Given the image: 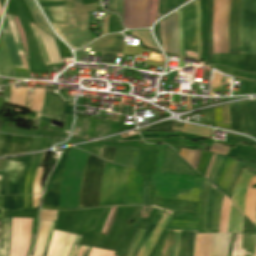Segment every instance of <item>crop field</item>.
Segmentation results:
<instances>
[{
	"instance_id": "a0ae1fb6",
	"label": "crop field",
	"mask_w": 256,
	"mask_h": 256,
	"mask_svg": "<svg viewBox=\"0 0 256 256\" xmlns=\"http://www.w3.org/2000/svg\"><path fill=\"white\" fill-rule=\"evenodd\" d=\"M77 56H78V53H77ZM78 59H79V56H78Z\"/></svg>"
},
{
	"instance_id": "4a817a6b",
	"label": "crop field",
	"mask_w": 256,
	"mask_h": 256,
	"mask_svg": "<svg viewBox=\"0 0 256 256\" xmlns=\"http://www.w3.org/2000/svg\"><path fill=\"white\" fill-rule=\"evenodd\" d=\"M241 105L246 132L252 133L256 136V101L243 102Z\"/></svg>"
},
{
	"instance_id": "1f1604b0",
	"label": "crop field",
	"mask_w": 256,
	"mask_h": 256,
	"mask_svg": "<svg viewBox=\"0 0 256 256\" xmlns=\"http://www.w3.org/2000/svg\"><path fill=\"white\" fill-rule=\"evenodd\" d=\"M1 11H2V8H1V6H0V15H1Z\"/></svg>"
},
{
	"instance_id": "5866460e",
	"label": "crop field",
	"mask_w": 256,
	"mask_h": 256,
	"mask_svg": "<svg viewBox=\"0 0 256 256\" xmlns=\"http://www.w3.org/2000/svg\"><path fill=\"white\" fill-rule=\"evenodd\" d=\"M185 3V0H159L157 18Z\"/></svg>"
},
{
	"instance_id": "ade564c9",
	"label": "crop field",
	"mask_w": 256,
	"mask_h": 256,
	"mask_svg": "<svg viewBox=\"0 0 256 256\" xmlns=\"http://www.w3.org/2000/svg\"><path fill=\"white\" fill-rule=\"evenodd\" d=\"M52 140H53V139H51V138L49 139V141H48V143H47V145H46L45 149H48V148H49V146H50V144H51Z\"/></svg>"
},
{
	"instance_id": "c821d689",
	"label": "crop field",
	"mask_w": 256,
	"mask_h": 256,
	"mask_svg": "<svg viewBox=\"0 0 256 256\" xmlns=\"http://www.w3.org/2000/svg\"><path fill=\"white\" fill-rule=\"evenodd\" d=\"M255 225H256V218H255Z\"/></svg>"
},
{
	"instance_id": "92a150f3",
	"label": "crop field",
	"mask_w": 256,
	"mask_h": 256,
	"mask_svg": "<svg viewBox=\"0 0 256 256\" xmlns=\"http://www.w3.org/2000/svg\"><path fill=\"white\" fill-rule=\"evenodd\" d=\"M248 233L232 234L228 256H245Z\"/></svg>"
},
{
	"instance_id": "dbb93151",
	"label": "crop field",
	"mask_w": 256,
	"mask_h": 256,
	"mask_svg": "<svg viewBox=\"0 0 256 256\" xmlns=\"http://www.w3.org/2000/svg\"><path fill=\"white\" fill-rule=\"evenodd\" d=\"M113 56H114V54H112V53H103L101 63L112 64Z\"/></svg>"
},
{
	"instance_id": "5a996713",
	"label": "crop field",
	"mask_w": 256,
	"mask_h": 256,
	"mask_svg": "<svg viewBox=\"0 0 256 256\" xmlns=\"http://www.w3.org/2000/svg\"><path fill=\"white\" fill-rule=\"evenodd\" d=\"M183 50L197 51L195 4L182 9Z\"/></svg>"
},
{
	"instance_id": "425ffa30",
	"label": "crop field",
	"mask_w": 256,
	"mask_h": 256,
	"mask_svg": "<svg viewBox=\"0 0 256 256\" xmlns=\"http://www.w3.org/2000/svg\"><path fill=\"white\" fill-rule=\"evenodd\" d=\"M172 233H173V230L168 231L160 256H168Z\"/></svg>"
},
{
	"instance_id": "ae633e8c",
	"label": "crop field",
	"mask_w": 256,
	"mask_h": 256,
	"mask_svg": "<svg viewBox=\"0 0 256 256\" xmlns=\"http://www.w3.org/2000/svg\"><path fill=\"white\" fill-rule=\"evenodd\" d=\"M2 235H3V225H2V221L0 222V256H1V252H2Z\"/></svg>"
},
{
	"instance_id": "028f5c9d",
	"label": "crop field",
	"mask_w": 256,
	"mask_h": 256,
	"mask_svg": "<svg viewBox=\"0 0 256 256\" xmlns=\"http://www.w3.org/2000/svg\"><path fill=\"white\" fill-rule=\"evenodd\" d=\"M132 35L139 37L144 46L159 51L149 33V30H134L132 31Z\"/></svg>"
},
{
	"instance_id": "c035e120",
	"label": "crop field",
	"mask_w": 256,
	"mask_h": 256,
	"mask_svg": "<svg viewBox=\"0 0 256 256\" xmlns=\"http://www.w3.org/2000/svg\"><path fill=\"white\" fill-rule=\"evenodd\" d=\"M227 0L222 1L221 19H220V38H221V53H224V22H225V8Z\"/></svg>"
},
{
	"instance_id": "7b73153f",
	"label": "crop field",
	"mask_w": 256,
	"mask_h": 256,
	"mask_svg": "<svg viewBox=\"0 0 256 256\" xmlns=\"http://www.w3.org/2000/svg\"><path fill=\"white\" fill-rule=\"evenodd\" d=\"M224 123H230L227 106L222 107Z\"/></svg>"
},
{
	"instance_id": "c21b1889",
	"label": "crop field",
	"mask_w": 256,
	"mask_h": 256,
	"mask_svg": "<svg viewBox=\"0 0 256 256\" xmlns=\"http://www.w3.org/2000/svg\"><path fill=\"white\" fill-rule=\"evenodd\" d=\"M108 3V10L111 12L118 13L122 18L123 0H108Z\"/></svg>"
},
{
	"instance_id": "c3a83c6f",
	"label": "crop field",
	"mask_w": 256,
	"mask_h": 256,
	"mask_svg": "<svg viewBox=\"0 0 256 256\" xmlns=\"http://www.w3.org/2000/svg\"><path fill=\"white\" fill-rule=\"evenodd\" d=\"M5 160L0 161V170H2Z\"/></svg>"
},
{
	"instance_id": "1f2cbd36",
	"label": "crop field",
	"mask_w": 256,
	"mask_h": 256,
	"mask_svg": "<svg viewBox=\"0 0 256 256\" xmlns=\"http://www.w3.org/2000/svg\"><path fill=\"white\" fill-rule=\"evenodd\" d=\"M178 235H179V231H174L173 241H172V245H171V250H170V255L169 256H176L177 243H178Z\"/></svg>"
},
{
	"instance_id": "9d1cf04e",
	"label": "crop field",
	"mask_w": 256,
	"mask_h": 256,
	"mask_svg": "<svg viewBox=\"0 0 256 256\" xmlns=\"http://www.w3.org/2000/svg\"><path fill=\"white\" fill-rule=\"evenodd\" d=\"M35 156H36V155L33 156V159H32V161H31V164H30V167H29L27 176H26L24 194H27V184H28V180H29V177H30V174H31V170H32V167H33V164H34Z\"/></svg>"
},
{
	"instance_id": "819c52e7",
	"label": "crop field",
	"mask_w": 256,
	"mask_h": 256,
	"mask_svg": "<svg viewBox=\"0 0 256 256\" xmlns=\"http://www.w3.org/2000/svg\"><path fill=\"white\" fill-rule=\"evenodd\" d=\"M254 256H256V248H255V254H254Z\"/></svg>"
},
{
	"instance_id": "d32e631a",
	"label": "crop field",
	"mask_w": 256,
	"mask_h": 256,
	"mask_svg": "<svg viewBox=\"0 0 256 256\" xmlns=\"http://www.w3.org/2000/svg\"><path fill=\"white\" fill-rule=\"evenodd\" d=\"M19 209V196L2 197L3 218L10 212Z\"/></svg>"
},
{
	"instance_id": "d23c7cc5",
	"label": "crop field",
	"mask_w": 256,
	"mask_h": 256,
	"mask_svg": "<svg viewBox=\"0 0 256 256\" xmlns=\"http://www.w3.org/2000/svg\"><path fill=\"white\" fill-rule=\"evenodd\" d=\"M75 236H76L75 234H71V233L69 234V236L66 240V243H65L59 256H67V254L72 246Z\"/></svg>"
},
{
	"instance_id": "d14b1444",
	"label": "crop field",
	"mask_w": 256,
	"mask_h": 256,
	"mask_svg": "<svg viewBox=\"0 0 256 256\" xmlns=\"http://www.w3.org/2000/svg\"><path fill=\"white\" fill-rule=\"evenodd\" d=\"M108 17H109V15H107V16L105 17V19H104V24H103V31H104V34H106V32H107ZM104 34H102V35H104Z\"/></svg>"
},
{
	"instance_id": "5d738f31",
	"label": "crop field",
	"mask_w": 256,
	"mask_h": 256,
	"mask_svg": "<svg viewBox=\"0 0 256 256\" xmlns=\"http://www.w3.org/2000/svg\"><path fill=\"white\" fill-rule=\"evenodd\" d=\"M116 148L103 147L101 157L105 160L112 161L114 160Z\"/></svg>"
},
{
	"instance_id": "eef30255",
	"label": "crop field",
	"mask_w": 256,
	"mask_h": 256,
	"mask_svg": "<svg viewBox=\"0 0 256 256\" xmlns=\"http://www.w3.org/2000/svg\"><path fill=\"white\" fill-rule=\"evenodd\" d=\"M201 9V38L202 54L201 59L206 61L207 56V38H206V0H199Z\"/></svg>"
},
{
	"instance_id": "28ad6ade",
	"label": "crop field",
	"mask_w": 256,
	"mask_h": 256,
	"mask_svg": "<svg viewBox=\"0 0 256 256\" xmlns=\"http://www.w3.org/2000/svg\"><path fill=\"white\" fill-rule=\"evenodd\" d=\"M31 139L0 134V153L8 155L26 152Z\"/></svg>"
},
{
	"instance_id": "c39391a2",
	"label": "crop field",
	"mask_w": 256,
	"mask_h": 256,
	"mask_svg": "<svg viewBox=\"0 0 256 256\" xmlns=\"http://www.w3.org/2000/svg\"><path fill=\"white\" fill-rule=\"evenodd\" d=\"M186 99H187V107H188V110L191 109V106H190V99L189 97L186 96Z\"/></svg>"
},
{
	"instance_id": "f4fd0767",
	"label": "crop field",
	"mask_w": 256,
	"mask_h": 256,
	"mask_svg": "<svg viewBox=\"0 0 256 256\" xmlns=\"http://www.w3.org/2000/svg\"><path fill=\"white\" fill-rule=\"evenodd\" d=\"M33 219L12 218L10 256H26Z\"/></svg>"
},
{
	"instance_id": "7312dd0a",
	"label": "crop field",
	"mask_w": 256,
	"mask_h": 256,
	"mask_svg": "<svg viewBox=\"0 0 256 256\" xmlns=\"http://www.w3.org/2000/svg\"><path fill=\"white\" fill-rule=\"evenodd\" d=\"M88 247H84V250H83V253H82V256H85V253H86V250H87Z\"/></svg>"
},
{
	"instance_id": "ae1a2a85",
	"label": "crop field",
	"mask_w": 256,
	"mask_h": 256,
	"mask_svg": "<svg viewBox=\"0 0 256 256\" xmlns=\"http://www.w3.org/2000/svg\"><path fill=\"white\" fill-rule=\"evenodd\" d=\"M167 221H168V216L164 213V215L162 216V218L158 222L151 238L149 239V241L147 242L146 246L144 247V249L142 250V252L140 253L139 256H148V254L151 251V249H152L156 239L158 238L160 232L165 227Z\"/></svg>"
},
{
	"instance_id": "0f1d7ab4",
	"label": "crop field",
	"mask_w": 256,
	"mask_h": 256,
	"mask_svg": "<svg viewBox=\"0 0 256 256\" xmlns=\"http://www.w3.org/2000/svg\"><path fill=\"white\" fill-rule=\"evenodd\" d=\"M79 239H80V236L77 235L76 238H75V241L73 243V246H72V248H71V250H70V252L68 254V256H72L73 255Z\"/></svg>"
},
{
	"instance_id": "bd1437ed",
	"label": "crop field",
	"mask_w": 256,
	"mask_h": 256,
	"mask_svg": "<svg viewBox=\"0 0 256 256\" xmlns=\"http://www.w3.org/2000/svg\"><path fill=\"white\" fill-rule=\"evenodd\" d=\"M212 10H213V0H208L207 7V37H208V57L207 62H211V56L213 51L212 43Z\"/></svg>"
},
{
	"instance_id": "db79e9e6",
	"label": "crop field",
	"mask_w": 256,
	"mask_h": 256,
	"mask_svg": "<svg viewBox=\"0 0 256 256\" xmlns=\"http://www.w3.org/2000/svg\"><path fill=\"white\" fill-rule=\"evenodd\" d=\"M65 4L64 1L39 3L40 7Z\"/></svg>"
},
{
	"instance_id": "e52e79f7",
	"label": "crop field",
	"mask_w": 256,
	"mask_h": 256,
	"mask_svg": "<svg viewBox=\"0 0 256 256\" xmlns=\"http://www.w3.org/2000/svg\"><path fill=\"white\" fill-rule=\"evenodd\" d=\"M26 35L30 72H48L31 24L19 18Z\"/></svg>"
},
{
	"instance_id": "a9b5d70f",
	"label": "crop field",
	"mask_w": 256,
	"mask_h": 256,
	"mask_svg": "<svg viewBox=\"0 0 256 256\" xmlns=\"http://www.w3.org/2000/svg\"><path fill=\"white\" fill-rule=\"evenodd\" d=\"M212 234H197L193 256H209Z\"/></svg>"
},
{
	"instance_id": "b54c1fbb",
	"label": "crop field",
	"mask_w": 256,
	"mask_h": 256,
	"mask_svg": "<svg viewBox=\"0 0 256 256\" xmlns=\"http://www.w3.org/2000/svg\"><path fill=\"white\" fill-rule=\"evenodd\" d=\"M255 240H256V234L249 233L247 249H246V256H253Z\"/></svg>"
},
{
	"instance_id": "d1516ede",
	"label": "crop field",
	"mask_w": 256,
	"mask_h": 256,
	"mask_svg": "<svg viewBox=\"0 0 256 256\" xmlns=\"http://www.w3.org/2000/svg\"><path fill=\"white\" fill-rule=\"evenodd\" d=\"M38 2L58 1V0H37ZM66 5L42 8L49 22L66 24L65 11L74 10V6H79L81 0H65Z\"/></svg>"
},
{
	"instance_id": "3316defc",
	"label": "crop field",
	"mask_w": 256,
	"mask_h": 256,
	"mask_svg": "<svg viewBox=\"0 0 256 256\" xmlns=\"http://www.w3.org/2000/svg\"><path fill=\"white\" fill-rule=\"evenodd\" d=\"M69 149L70 148H67L65 150L60 162L52 172L50 179L48 181V184L44 193V198H43V202L47 205H52L57 207L61 172H62L64 161Z\"/></svg>"
},
{
	"instance_id": "25e5ab78",
	"label": "crop field",
	"mask_w": 256,
	"mask_h": 256,
	"mask_svg": "<svg viewBox=\"0 0 256 256\" xmlns=\"http://www.w3.org/2000/svg\"><path fill=\"white\" fill-rule=\"evenodd\" d=\"M42 175H43V168H38V171H37L36 176H35L33 194L42 192V190L40 188V181H41Z\"/></svg>"
},
{
	"instance_id": "f47e1a6f",
	"label": "crop field",
	"mask_w": 256,
	"mask_h": 256,
	"mask_svg": "<svg viewBox=\"0 0 256 256\" xmlns=\"http://www.w3.org/2000/svg\"><path fill=\"white\" fill-rule=\"evenodd\" d=\"M1 127V126H0Z\"/></svg>"
},
{
	"instance_id": "dafd665d",
	"label": "crop field",
	"mask_w": 256,
	"mask_h": 256,
	"mask_svg": "<svg viewBox=\"0 0 256 256\" xmlns=\"http://www.w3.org/2000/svg\"><path fill=\"white\" fill-rule=\"evenodd\" d=\"M228 109H229V115H230L232 129L235 131L245 132L244 121H243L240 103L229 105Z\"/></svg>"
},
{
	"instance_id": "00972430",
	"label": "crop field",
	"mask_w": 256,
	"mask_h": 256,
	"mask_svg": "<svg viewBox=\"0 0 256 256\" xmlns=\"http://www.w3.org/2000/svg\"><path fill=\"white\" fill-rule=\"evenodd\" d=\"M243 218H244V215L232 203L230 214H229L227 233L241 232Z\"/></svg>"
},
{
	"instance_id": "f0312440",
	"label": "crop field",
	"mask_w": 256,
	"mask_h": 256,
	"mask_svg": "<svg viewBox=\"0 0 256 256\" xmlns=\"http://www.w3.org/2000/svg\"><path fill=\"white\" fill-rule=\"evenodd\" d=\"M90 249H91V248H88V251H87V253H86V256H88V253H89Z\"/></svg>"
},
{
	"instance_id": "0765c3eb",
	"label": "crop field",
	"mask_w": 256,
	"mask_h": 256,
	"mask_svg": "<svg viewBox=\"0 0 256 256\" xmlns=\"http://www.w3.org/2000/svg\"><path fill=\"white\" fill-rule=\"evenodd\" d=\"M160 34H161V39H162L163 50H164V52H166L165 41H164L163 20L160 21Z\"/></svg>"
},
{
	"instance_id": "920284fa",
	"label": "crop field",
	"mask_w": 256,
	"mask_h": 256,
	"mask_svg": "<svg viewBox=\"0 0 256 256\" xmlns=\"http://www.w3.org/2000/svg\"><path fill=\"white\" fill-rule=\"evenodd\" d=\"M186 1H188V0H186Z\"/></svg>"
},
{
	"instance_id": "03da06ac",
	"label": "crop field",
	"mask_w": 256,
	"mask_h": 256,
	"mask_svg": "<svg viewBox=\"0 0 256 256\" xmlns=\"http://www.w3.org/2000/svg\"><path fill=\"white\" fill-rule=\"evenodd\" d=\"M167 231L168 230H166V229L163 230V232H162L160 238L158 239L154 249L152 250L150 256H159L162 245H163V242H164V239H165L166 234H167Z\"/></svg>"
},
{
	"instance_id": "e1f06a70",
	"label": "crop field",
	"mask_w": 256,
	"mask_h": 256,
	"mask_svg": "<svg viewBox=\"0 0 256 256\" xmlns=\"http://www.w3.org/2000/svg\"><path fill=\"white\" fill-rule=\"evenodd\" d=\"M3 224H4L3 256H8L10 230H11V218H7V219L3 220Z\"/></svg>"
},
{
	"instance_id": "0fb4a251",
	"label": "crop field",
	"mask_w": 256,
	"mask_h": 256,
	"mask_svg": "<svg viewBox=\"0 0 256 256\" xmlns=\"http://www.w3.org/2000/svg\"><path fill=\"white\" fill-rule=\"evenodd\" d=\"M13 17H14V16H13ZM14 19H15L16 25H17V27H18V30H19V32H20V37H21V39H22V41H23V45H24V48H25V51H26V55H27L26 44H25V36H24V34H23V31H22V28H21V25H20V23H19L18 18H17V17H14Z\"/></svg>"
},
{
	"instance_id": "ac0d7876",
	"label": "crop field",
	"mask_w": 256,
	"mask_h": 256,
	"mask_svg": "<svg viewBox=\"0 0 256 256\" xmlns=\"http://www.w3.org/2000/svg\"><path fill=\"white\" fill-rule=\"evenodd\" d=\"M105 162L88 155L80 185V208L98 206L99 188Z\"/></svg>"
},
{
	"instance_id": "d8731c3e",
	"label": "crop field",
	"mask_w": 256,
	"mask_h": 256,
	"mask_svg": "<svg viewBox=\"0 0 256 256\" xmlns=\"http://www.w3.org/2000/svg\"><path fill=\"white\" fill-rule=\"evenodd\" d=\"M23 167L20 162H5L3 171H0V195L19 194Z\"/></svg>"
},
{
	"instance_id": "bc2a9ffb",
	"label": "crop field",
	"mask_w": 256,
	"mask_h": 256,
	"mask_svg": "<svg viewBox=\"0 0 256 256\" xmlns=\"http://www.w3.org/2000/svg\"><path fill=\"white\" fill-rule=\"evenodd\" d=\"M231 234H213L210 256H227Z\"/></svg>"
},
{
	"instance_id": "0bd39190",
	"label": "crop field",
	"mask_w": 256,
	"mask_h": 256,
	"mask_svg": "<svg viewBox=\"0 0 256 256\" xmlns=\"http://www.w3.org/2000/svg\"><path fill=\"white\" fill-rule=\"evenodd\" d=\"M173 121H164L147 128L141 129V131H172Z\"/></svg>"
},
{
	"instance_id": "733c2abd",
	"label": "crop field",
	"mask_w": 256,
	"mask_h": 256,
	"mask_svg": "<svg viewBox=\"0 0 256 256\" xmlns=\"http://www.w3.org/2000/svg\"><path fill=\"white\" fill-rule=\"evenodd\" d=\"M252 176L240 174L233 191L232 201L244 212L246 188Z\"/></svg>"
},
{
	"instance_id": "d9b57169",
	"label": "crop field",
	"mask_w": 256,
	"mask_h": 256,
	"mask_svg": "<svg viewBox=\"0 0 256 256\" xmlns=\"http://www.w3.org/2000/svg\"><path fill=\"white\" fill-rule=\"evenodd\" d=\"M93 51L121 53L123 50V37L121 34L104 36L92 43Z\"/></svg>"
},
{
	"instance_id": "cbeb9de0",
	"label": "crop field",
	"mask_w": 256,
	"mask_h": 256,
	"mask_svg": "<svg viewBox=\"0 0 256 256\" xmlns=\"http://www.w3.org/2000/svg\"><path fill=\"white\" fill-rule=\"evenodd\" d=\"M165 41L169 54L179 56L177 14L164 19Z\"/></svg>"
},
{
	"instance_id": "750c4746",
	"label": "crop field",
	"mask_w": 256,
	"mask_h": 256,
	"mask_svg": "<svg viewBox=\"0 0 256 256\" xmlns=\"http://www.w3.org/2000/svg\"><path fill=\"white\" fill-rule=\"evenodd\" d=\"M215 190L216 187L211 184L207 199L204 233H211V218L214 205Z\"/></svg>"
},
{
	"instance_id": "b80d0937",
	"label": "crop field",
	"mask_w": 256,
	"mask_h": 256,
	"mask_svg": "<svg viewBox=\"0 0 256 256\" xmlns=\"http://www.w3.org/2000/svg\"><path fill=\"white\" fill-rule=\"evenodd\" d=\"M68 234L69 233H67V232H61V231L58 232L56 242H55V245H54L51 256H58L59 255Z\"/></svg>"
},
{
	"instance_id": "34b2d1b8",
	"label": "crop field",
	"mask_w": 256,
	"mask_h": 256,
	"mask_svg": "<svg viewBox=\"0 0 256 256\" xmlns=\"http://www.w3.org/2000/svg\"><path fill=\"white\" fill-rule=\"evenodd\" d=\"M67 25L51 23L57 34L74 49L83 47L89 41L88 12L75 14L66 12Z\"/></svg>"
},
{
	"instance_id": "89e229c0",
	"label": "crop field",
	"mask_w": 256,
	"mask_h": 256,
	"mask_svg": "<svg viewBox=\"0 0 256 256\" xmlns=\"http://www.w3.org/2000/svg\"><path fill=\"white\" fill-rule=\"evenodd\" d=\"M230 2H231V0H228L227 10H226V23H225V53H228V45H229V38H228V15H229Z\"/></svg>"
},
{
	"instance_id": "73cf0c24",
	"label": "crop field",
	"mask_w": 256,
	"mask_h": 256,
	"mask_svg": "<svg viewBox=\"0 0 256 256\" xmlns=\"http://www.w3.org/2000/svg\"><path fill=\"white\" fill-rule=\"evenodd\" d=\"M32 26H33L35 35H36V37H37L38 43H39V45H40L42 54H43V56H44L45 62H46L47 65H49L50 63H49V60H48V57H47V54H46V51H45V48H44L42 39H41V37H40L38 28H37V26H35V25H33V24H32Z\"/></svg>"
},
{
	"instance_id": "dd49c442",
	"label": "crop field",
	"mask_w": 256,
	"mask_h": 256,
	"mask_svg": "<svg viewBox=\"0 0 256 256\" xmlns=\"http://www.w3.org/2000/svg\"><path fill=\"white\" fill-rule=\"evenodd\" d=\"M13 66L23 68L20 55L24 54L18 37V33L11 15H5L1 29Z\"/></svg>"
},
{
	"instance_id": "180be81f",
	"label": "crop field",
	"mask_w": 256,
	"mask_h": 256,
	"mask_svg": "<svg viewBox=\"0 0 256 256\" xmlns=\"http://www.w3.org/2000/svg\"><path fill=\"white\" fill-rule=\"evenodd\" d=\"M2 219V214H1V197H0V220Z\"/></svg>"
},
{
	"instance_id": "fb207236",
	"label": "crop field",
	"mask_w": 256,
	"mask_h": 256,
	"mask_svg": "<svg viewBox=\"0 0 256 256\" xmlns=\"http://www.w3.org/2000/svg\"><path fill=\"white\" fill-rule=\"evenodd\" d=\"M243 172H246V173H249V174H252V175H256V173H254V172H251V171H247V170H242Z\"/></svg>"
},
{
	"instance_id": "8de936bc",
	"label": "crop field",
	"mask_w": 256,
	"mask_h": 256,
	"mask_svg": "<svg viewBox=\"0 0 256 256\" xmlns=\"http://www.w3.org/2000/svg\"><path fill=\"white\" fill-rule=\"evenodd\" d=\"M0 156H2V155H0Z\"/></svg>"
},
{
	"instance_id": "730fd06b",
	"label": "crop field",
	"mask_w": 256,
	"mask_h": 256,
	"mask_svg": "<svg viewBox=\"0 0 256 256\" xmlns=\"http://www.w3.org/2000/svg\"><path fill=\"white\" fill-rule=\"evenodd\" d=\"M162 214L163 213L157 211V213L155 214V216L151 220L150 224L148 225L147 229L145 230V232L142 234L139 241L137 242L131 256H138L140 250L142 249L145 242L149 238L151 232L153 231L155 225L157 224V222H158V220H159V218L161 217Z\"/></svg>"
},
{
	"instance_id": "447ae74e",
	"label": "crop field",
	"mask_w": 256,
	"mask_h": 256,
	"mask_svg": "<svg viewBox=\"0 0 256 256\" xmlns=\"http://www.w3.org/2000/svg\"><path fill=\"white\" fill-rule=\"evenodd\" d=\"M57 213L41 212L40 219L55 220Z\"/></svg>"
},
{
	"instance_id": "214f88e0",
	"label": "crop field",
	"mask_w": 256,
	"mask_h": 256,
	"mask_svg": "<svg viewBox=\"0 0 256 256\" xmlns=\"http://www.w3.org/2000/svg\"><path fill=\"white\" fill-rule=\"evenodd\" d=\"M196 232L180 231L177 256H192Z\"/></svg>"
},
{
	"instance_id": "78b8030e",
	"label": "crop field",
	"mask_w": 256,
	"mask_h": 256,
	"mask_svg": "<svg viewBox=\"0 0 256 256\" xmlns=\"http://www.w3.org/2000/svg\"><path fill=\"white\" fill-rule=\"evenodd\" d=\"M57 232L58 231H56V230H54V232H53V236H52L51 244H50L48 252H47V256H50V253H51V250H52V247H53V244H54Z\"/></svg>"
},
{
	"instance_id": "1d83c4d3",
	"label": "crop field",
	"mask_w": 256,
	"mask_h": 256,
	"mask_svg": "<svg viewBox=\"0 0 256 256\" xmlns=\"http://www.w3.org/2000/svg\"><path fill=\"white\" fill-rule=\"evenodd\" d=\"M49 223L50 221H45V220H41L40 222V230H39L38 238L36 241L34 256L42 255L44 243H45L47 232H48Z\"/></svg>"
},
{
	"instance_id": "412701ff",
	"label": "crop field",
	"mask_w": 256,
	"mask_h": 256,
	"mask_svg": "<svg viewBox=\"0 0 256 256\" xmlns=\"http://www.w3.org/2000/svg\"><path fill=\"white\" fill-rule=\"evenodd\" d=\"M256 0H242L239 22L240 54L256 55Z\"/></svg>"
},
{
	"instance_id": "5edd877f",
	"label": "crop field",
	"mask_w": 256,
	"mask_h": 256,
	"mask_svg": "<svg viewBox=\"0 0 256 256\" xmlns=\"http://www.w3.org/2000/svg\"><path fill=\"white\" fill-rule=\"evenodd\" d=\"M1 178V177H0Z\"/></svg>"
},
{
	"instance_id": "22f410ed",
	"label": "crop field",
	"mask_w": 256,
	"mask_h": 256,
	"mask_svg": "<svg viewBox=\"0 0 256 256\" xmlns=\"http://www.w3.org/2000/svg\"><path fill=\"white\" fill-rule=\"evenodd\" d=\"M241 0H232L229 15V53L239 54L238 21Z\"/></svg>"
},
{
	"instance_id": "5142ce71",
	"label": "crop field",
	"mask_w": 256,
	"mask_h": 256,
	"mask_svg": "<svg viewBox=\"0 0 256 256\" xmlns=\"http://www.w3.org/2000/svg\"><path fill=\"white\" fill-rule=\"evenodd\" d=\"M63 104L64 101L58 94L45 92L42 115L65 120L66 115L62 114Z\"/></svg>"
},
{
	"instance_id": "e1d0b9f6",
	"label": "crop field",
	"mask_w": 256,
	"mask_h": 256,
	"mask_svg": "<svg viewBox=\"0 0 256 256\" xmlns=\"http://www.w3.org/2000/svg\"><path fill=\"white\" fill-rule=\"evenodd\" d=\"M63 113L72 114V106L67 105V101H65Z\"/></svg>"
},
{
	"instance_id": "4177f3b9",
	"label": "crop field",
	"mask_w": 256,
	"mask_h": 256,
	"mask_svg": "<svg viewBox=\"0 0 256 256\" xmlns=\"http://www.w3.org/2000/svg\"><path fill=\"white\" fill-rule=\"evenodd\" d=\"M51 64L61 63L53 37L39 29Z\"/></svg>"
},
{
	"instance_id": "d3111659",
	"label": "crop field",
	"mask_w": 256,
	"mask_h": 256,
	"mask_svg": "<svg viewBox=\"0 0 256 256\" xmlns=\"http://www.w3.org/2000/svg\"><path fill=\"white\" fill-rule=\"evenodd\" d=\"M25 2H26L28 8L30 9V11H31V13H32V15L34 17L37 26H39L41 29H43L48 34H50L53 37H55L53 32L51 31L50 27L46 23L45 19L41 15L40 11L36 7L35 3L33 2V0H25Z\"/></svg>"
},
{
	"instance_id": "8a807250",
	"label": "crop field",
	"mask_w": 256,
	"mask_h": 256,
	"mask_svg": "<svg viewBox=\"0 0 256 256\" xmlns=\"http://www.w3.org/2000/svg\"><path fill=\"white\" fill-rule=\"evenodd\" d=\"M128 169L115 164H105L99 206L122 204Z\"/></svg>"
},
{
	"instance_id": "c5b07064",
	"label": "crop field",
	"mask_w": 256,
	"mask_h": 256,
	"mask_svg": "<svg viewBox=\"0 0 256 256\" xmlns=\"http://www.w3.org/2000/svg\"><path fill=\"white\" fill-rule=\"evenodd\" d=\"M80 247H81V246H79V245L77 246L74 256H77V254H78V252H79Z\"/></svg>"
},
{
	"instance_id": "120bbe31",
	"label": "crop field",
	"mask_w": 256,
	"mask_h": 256,
	"mask_svg": "<svg viewBox=\"0 0 256 256\" xmlns=\"http://www.w3.org/2000/svg\"><path fill=\"white\" fill-rule=\"evenodd\" d=\"M212 129L184 123L183 128H174V131L185 132L208 138Z\"/></svg>"
},
{
	"instance_id": "1d79db26",
	"label": "crop field",
	"mask_w": 256,
	"mask_h": 256,
	"mask_svg": "<svg viewBox=\"0 0 256 256\" xmlns=\"http://www.w3.org/2000/svg\"><path fill=\"white\" fill-rule=\"evenodd\" d=\"M55 223L56 222H53V221H51V223H50V228H49L48 237H47V241H46V245H45V250H44L43 256L46 255L47 247H48L49 240H50V237H51V234H52V231H53Z\"/></svg>"
}]
</instances>
